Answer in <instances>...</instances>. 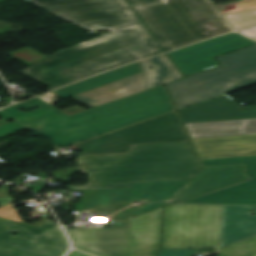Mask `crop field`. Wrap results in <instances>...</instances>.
Instances as JSON below:
<instances>
[{"label":"crop field","instance_id":"13","mask_svg":"<svg viewBox=\"0 0 256 256\" xmlns=\"http://www.w3.org/2000/svg\"><path fill=\"white\" fill-rule=\"evenodd\" d=\"M117 132L133 145L189 141L175 111Z\"/></svg>","mask_w":256,"mask_h":256},{"label":"crop field","instance_id":"19","mask_svg":"<svg viewBox=\"0 0 256 256\" xmlns=\"http://www.w3.org/2000/svg\"><path fill=\"white\" fill-rule=\"evenodd\" d=\"M142 71L141 62L139 61L53 92L65 99Z\"/></svg>","mask_w":256,"mask_h":256},{"label":"crop field","instance_id":"23","mask_svg":"<svg viewBox=\"0 0 256 256\" xmlns=\"http://www.w3.org/2000/svg\"><path fill=\"white\" fill-rule=\"evenodd\" d=\"M235 30L256 24V10L225 15Z\"/></svg>","mask_w":256,"mask_h":256},{"label":"crop field","instance_id":"24","mask_svg":"<svg viewBox=\"0 0 256 256\" xmlns=\"http://www.w3.org/2000/svg\"><path fill=\"white\" fill-rule=\"evenodd\" d=\"M7 56L11 57V60L17 59L28 66L47 57L29 47L14 51Z\"/></svg>","mask_w":256,"mask_h":256},{"label":"crop field","instance_id":"20","mask_svg":"<svg viewBox=\"0 0 256 256\" xmlns=\"http://www.w3.org/2000/svg\"><path fill=\"white\" fill-rule=\"evenodd\" d=\"M85 154L128 153L132 144L116 131L76 144Z\"/></svg>","mask_w":256,"mask_h":256},{"label":"crop field","instance_id":"7","mask_svg":"<svg viewBox=\"0 0 256 256\" xmlns=\"http://www.w3.org/2000/svg\"><path fill=\"white\" fill-rule=\"evenodd\" d=\"M187 182L156 181L131 183V188L97 189L82 210L108 217L111 228L129 226V218L163 207Z\"/></svg>","mask_w":256,"mask_h":256},{"label":"crop field","instance_id":"22","mask_svg":"<svg viewBox=\"0 0 256 256\" xmlns=\"http://www.w3.org/2000/svg\"><path fill=\"white\" fill-rule=\"evenodd\" d=\"M219 256H256V236L218 249Z\"/></svg>","mask_w":256,"mask_h":256},{"label":"crop field","instance_id":"3","mask_svg":"<svg viewBox=\"0 0 256 256\" xmlns=\"http://www.w3.org/2000/svg\"><path fill=\"white\" fill-rule=\"evenodd\" d=\"M87 185L66 189L130 187V182L191 180L202 168L190 142L132 146L128 154L77 156Z\"/></svg>","mask_w":256,"mask_h":256},{"label":"crop field","instance_id":"26","mask_svg":"<svg viewBox=\"0 0 256 256\" xmlns=\"http://www.w3.org/2000/svg\"><path fill=\"white\" fill-rule=\"evenodd\" d=\"M197 251L198 249H161L158 256H190Z\"/></svg>","mask_w":256,"mask_h":256},{"label":"crop field","instance_id":"10","mask_svg":"<svg viewBox=\"0 0 256 256\" xmlns=\"http://www.w3.org/2000/svg\"><path fill=\"white\" fill-rule=\"evenodd\" d=\"M68 248L56 222L46 220L34 227L21 221L17 211L0 216V256H63Z\"/></svg>","mask_w":256,"mask_h":256},{"label":"crop field","instance_id":"2","mask_svg":"<svg viewBox=\"0 0 256 256\" xmlns=\"http://www.w3.org/2000/svg\"><path fill=\"white\" fill-rule=\"evenodd\" d=\"M160 53L161 49L143 25H140L59 51L19 73L52 90Z\"/></svg>","mask_w":256,"mask_h":256},{"label":"crop field","instance_id":"4","mask_svg":"<svg viewBox=\"0 0 256 256\" xmlns=\"http://www.w3.org/2000/svg\"><path fill=\"white\" fill-rule=\"evenodd\" d=\"M164 52L231 31L210 0H127Z\"/></svg>","mask_w":256,"mask_h":256},{"label":"crop field","instance_id":"6","mask_svg":"<svg viewBox=\"0 0 256 256\" xmlns=\"http://www.w3.org/2000/svg\"><path fill=\"white\" fill-rule=\"evenodd\" d=\"M161 208L130 219V227L71 229L75 248L98 256H156Z\"/></svg>","mask_w":256,"mask_h":256},{"label":"crop field","instance_id":"17","mask_svg":"<svg viewBox=\"0 0 256 256\" xmlns=\"http://www.w3.org/2000/svg\"><path fill=\"white\" fill-rule=\"evenodd\" d=\"M146 89L145 78L142 72L94 90L76 95L74 96V99L93 108L112 100L144 91Z\"/></svg>","mask_w":256,"mask_h":256},{"label":"crop field","instance_id":"32","mask_svg":"<svg viewBox=\"0 0 256 256\" xmlns=\"http://www.w3.org/2000/svg\"><path fill=\"white\" fill-rule=\"evenodd\" d=\"M2 123H6V122L0 119V124H2Z\"/></svg>","mask_w":256,"mask_h":256},{"label":"crop field","instance_id":"31","mask_svg":"<svg viewBox=\"0 0 256 256\" xmlns=\"http://www.w3.org/2000/svg\"><path fill=\"white\" fill-rule=\"evenodd\" d=\"M248 37H251V38H253V39H255L256 40V33H254V34H251V35H247Z\"/></svg>","mask_w":256,"mask_h":256},{"label":"crop field","instance_id":"21","mask_svg":"<svg viewBox=\"0 0 256 256\" xmlns=\"http://www.w3.org/2000/svg\"><path fill=\"white\" fill-rule=\"evenodd\" d=\"M141 62L148 89L159 86L165 81L182 77L165 54ZM150 66H153V69L148 70Z\"/></svg>","mask_w":256,"mask_h":256},{"label":"crop field","instance_id":"9","mask_svg":"<svg viewBox=\"0 0 256 256\" xmlns=\"http://www.w3.org/2000/svg\"><path fill=\"white\" fill-rule=\"evenodd\" d=\"M26 2L91 31L102 29L115 31L141 24L124 0H30Z\"/></svg>","mask_w":256,"mask_h":256},{"label":"crop field","instance_id":"5","mask_svg":"<svg viewBox=\"0 0 256 256\" xmlns=\"http://www.w3.org/2000/svg\"><path fill=\"white\" fill-rule=\"evenodd\" d=\"M216 59L221 67L168 84L178 110L256 84V45Z\"/></svg>","mask_w":256,"mask_h":256},{"label":"crop field","instance_id":"15","mask_svg":"<svg viewBox=\"0 0 256 256\" xmlns=\"http://www.w3.org/2000/svg\"><path fill=\"white\" fill-rule=\"evenodd\" d=\"M192 140L201 159L256 155V135Z\"/></svg>","mask_w":256,"mask_h":256},{"label":"crop field","instance_id":"1","mask_svg":"<svg viewBox=\"0 0 256 256\" xmlns=\"http://www.w3.org/2000/svg\"><path fill=\"white\" fill-rule=\"evenodd\" d=\"M37 110L21 112L17 109ZM174 111L167 91L159 86L115 100L71 116L36 98L0 110L6 121L18 120L54 140V146H69L107 132L117 130Z\"/></svg>","mask_w":256,"mask_h":256},{"label":"crop field","instance_id":"30","mask_svg":"<svg viewBox=\"0 0 256 256\" xmlns=\"http://www.w3.org/2000/svg\"><path fill=\"white\" fill-rule=\"evenodd\" d=\"M67 256H87V255H84V254H81V253H79V252H76V251H72L69 255H67Z\"/></svg>","mask_w":256,"mask_h":256},{"label":"crop field","instance_id":"8","mask_svg":"<svg viewBox=\"0 0 256 256\" xmlns=\"http://www.w3.org/2000/svg\"><path fill=\"white\" fill-rule=\"evenodd\" d=\"M222 205H181L164 208L161 248H218Z\"/></svg>","mask_w":256,"mask_h":256},{"label":"crop field","instance_id":"16","mask_svg":"<svg viewBox=\"0 0 256 256\" xmlns=\"http://www.w3.org/2000/svg\"><path fill=\"white\" fill-rule=\"evenodd\" d=\"M250 209H254V216H251ZM254 235H256V206L223 205L220 247Z\"/></svg>","mask_w":256,"mask_h":256},{"label":"crop field","instance_id":"12","mask_svg":"<svg viewBox=\"0 0 256 256\" xmlns=\"http://www.w3.org/2000/svg\"><path fill=\"white\" fill-rule=\"evenodd\" d=\"M205 166L244 164L249 181L232 185L181 204L256 205V156L202 160Z\"/></svg>","mask_w":256,"mask_h":256},{"label":"crop field","instance_id":"18","mask_svg":"<svg viewBox=\"0 0 256 256\" xmlns=\"http://www.w3.org/2000/svg\"><path fill=\"white\" fill-rule=\"evenodd\" d=\"M191 138L256 134V119L185 124Z\"/></svg>","mask_w":256,"mask_h":256},{"label":"crop field","instance_id":"28","mask_svg":"<svg viewBox=\"0 0 256 256\" xmlns=\"http://www.w3.org/2000/svg\"><path fill=\"white\" fill-rule=\"evenodd\" d=\"M80 169L78 167H69L66 169H63L61 171L53 173L54 177L56 178H63V177H68L69 175L79 171Z\"/></svg>","mask_w":256,"mask_h":256},{"label":"crop field","instance_id":"14","mask_svg":"<svg viewBox=\"0 0 256 256\" xmlns=\"http://www.w3.org/2000/svg\"><path fill=\"white\" fill-rule=\"evenodd\" d=\"M178 112L184 123L256 118V107L240 108L227 94Z\"/></svg>","mask_w":256,"mask_h":256},{"label":"crop field","instance_id":"11","mask_svg":"<svg viewBox=\"0 0 256 256\" xmlns=\"http://www.w3.org/2000/svg\"><path fill=\"white\" fill-rule=\"evenodd\" d=\"M256 42L232 33L204 41L186 48L168 53L185 76L218 66L213 57L238 50ZM182 73V74H183Z\"/></svg>","mask_w":256,"mask_h":256},{"label":"crop field","instance_id":"29","mask_svg":"<svg viewBox=\"0 0 256 256\" xmlns=\"http://www.w3.org/2000/svg\"><path fill=\"white\" fill-rule=\"evenodd\" d=\"M240 33L247 35L256 32V27L248 28L242 31H239Z\"/></svg>","mask_w":256,"mask_h":256},{"label":"crop field","instance_id":"27","mask_svg":"<svg viewBox=\"0 0 256 256\" xmlns=\"http://www.w3.org/2000/svg\"><path fill=\"white\" fill-rule=\"evenodd\" d=\"M10 187V185H4L2 187H0V207L13 202V199L8 196V188Z\"/></svg>","mask_w":256,"mask_h":256},{"label":"crop field","instance_id":"25","mask_svg":"<svg viewBox=\"0 0 256 256\" xmlns=\"http://www.w3.org/2000/svg\"><path fill=\"white\" fill-rule=\"evenodd\" d=\"M225 7H228V10H225L223 14L256 9V0H242L237 3L226 4Z\"/></svg>","mask_w":256,"mask_h":256}]
</instances>
